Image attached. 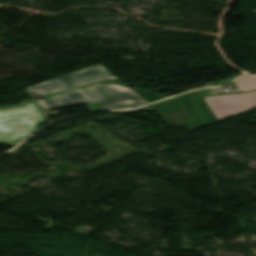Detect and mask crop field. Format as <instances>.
I'll return each mask as SVG.
<instances>
[{
	"instance_id": "obj_2",
	"label": "crop field",
	"mask_w": 256,
	"mask_h": 256,
	"mask_svg": "<svg viewBox=\"0 0 256 256\" xmlns=\"http://www.w3.org/2000/svg\"><path fill=\"white\" fill-rule=\"evenodd\" d=\"M45 116L34 101L24 106L0 109V145L15 146L38 131Z\"/></svg>"
},
{
	"instance_id": "obj_4",
	"label": "crop field",
	"mask_w": 256,
	"mask_h": 256,
	"mask_svg": "<svg viewBox=\"0 0 256 256\" xmlns=\"http://www.w3.org/2000/svg\"><path fill=\"white\" fill-rule=\"evenodd\" d=\"M219 121L256 107V91L205 98Z\"/></svg>"
},
{
	"instance_id": "obj_6",
	"label": "crop field",
	"mask_w": 256,
	"mask_h": 256,
	"mask_svg": "<svg viewBox=\"0 0 256 256\" xmlns=\"http://www.w3.org/2000/svg\"><path fill=\"white\" fill-rule=\"evenodd\" d=\"M209 89H212V88H209ZM209 89H202V90H200L202 96H205V95H212V94H210V93L208 92Z\"/></svg>"
},
{
	"instance_id": "obj_1",
	"label": "crop field",
	"mask_w": 256,
	"mask_h": 256,
	"mask_svg": "<svg viewBox=\"0 0 256 256\" xmlns=\"http://www.w3.org/2000/svg\"><path fill=\"white\" fill-rule=\"evenodd\" d=\"M43 111L87 103L91 111L124 109L147 104L137 93L125 85L108 83L92 85L55 95L46 100H37Z\"/></svg>"
},
{
	"instance_id": "obj_3",
	"label": "crop field",
	"mask_w": 256,
	"mask_h": 256,
	"mask_svg": "<svg viewBox=\"0 0 256 256\" xmlns=\"http://www.w3.org/2000/svg\"><path fill=\"white\" fill-rule=\"evenodd\" d=\"M107 81L121 82L118 78L111 76L104 66L94 65L81 71L32 86L27 88V90L39 95L56 94L74 87Z\"/></svg>"
},
{
	"instance_id": "obj_5",
	"label": "crop field",
	"mask_w": 256,
	"mask_h": 256,
	"mask_svg": "<svg viewBox=\"0 0 256 256\" xmlns=\"http://www.w3.org/2000/svg\"><path fill=\"white\" fill-rule=\"evenodd\" d=\"M241 91L256 88V75L243 76L236 81Z\"/></svg>"
}]
</instances>
